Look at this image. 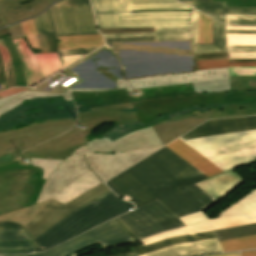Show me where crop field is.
Segmentation results:
<instances>
[{"label": "crop field", "instance_id": "1", "mask_svg": "<svg viewBox=\"0 0 256 256\" xmlns=\"http://www.w3.org/2000/svg\"><path fill=\"white\" fill-rule=\"evenodd\" d=\"M206 177L166 146L105 183L136 209L158 200L177 217L207 209L217 200L195 182Z\"/></svg>", "mask_w": 256, "mask_h": 256}, {"label": "crop field", "instance_id": "2", "mask_svg": "<svg viewBox=\"0 0 256 256\" xmlns=\"http://www.w3.org/2000/svg\"><path fill=\"white\" fill-rule=\"evenodd\" d=\"M31 161L43 168L42 179H47L37 203L54 198L65 204L103 182L86 165L85 154L69 160Z\"/></svg>", "mask_w": 256, "mask_h": 256}, {"label": "crop field", "instance_id": "3", "mask_svg": "<svg viewBox=\"0 0 256 256\" xmlns=\"http://www.w3.org/2000/svg\"><path fill=\"white\" fill-rule=\"evenodd\" d=\"M131 203L118 199L112 192L73 212L43 235L35 243L42 252L92 227L133 209Z\"/></svg>", "mask_w": 256, "mask_h": 256}, {"label": "crop field", "instance_id": "4", "mask_svg": "<svg viewBox=\"0 0 256 256\" xmlns=\"http://www.w3.org/2000/svg\"><path fill=\"white\" fill-rule=\"evenodd\" d=\"M132 108L131 104L95 108L92 109L96 112L90 113H78L80 123H84L87 126V130L83 132L75 131L56 137L46 143H43L31 150L21 153L19 157H37V158H52L62 159L71 155V153L82 145H85L88 139L85 138L89 134L90 130L106 123V122H118V123H135L137 122L135 113H124L121 111H104L110 109H127Z\"/></svg>", "mask_w": 256, "mask_h": 256}, {"label": "crop field", "instance_id": "5", "mask_svg": "<svg viewBox=\"0 0 256 256\" xmlns=\"http://www.w3.org/2000/svg\"><path fill=\"white\" fill-rule=\"evenodd\" d=\"M226 171L256 159V130L184 141Z\"/></svg>", "mask_w": 256, "mask_h": 256}, {"label": "crop field", "instance_id": "6", "mask_svg": "<svg viewBox=\"0 0 256 256\" xmlns=\"http://www.w3.org/2000/svg\"><path fill=\"white\" fill-rule=\"evenodd\" d=\"M18 160L0 166V214L34 205L45 182L41 168L21 166Z\"/></svg>", "mask_w": 256, "mask_h": 256}, {"label": "crop field", "instance_id": "7", "mask_svg": "<svg viewBox=\"0 0 256 256\" xmlns=\"http://www.w3.org/2000/svg\"><path fill=\"white\" fill-rule=\"evenodd\" d=\"M139 239H143L180 226L208 220L203 213L196 212L177 218L158 201L118 217Z\"/></svg>", "mask_w": 256, "mask_h": 256}, {"label": "crop field", "instance_id": "8", "mask_svg": "<svg viewBox=\"0 0 256 256\" xmlns=\"http://www.w3.org/2000/svg\"><path fill=\"white\" fill-rule=\"evenodd\" d=\"M75 122V119L45 121L43 124L0 133V164L16 159L25 149L68 131Z\"/></svg>", "mask_w": 256, "mask_h": 256}, {"label": "crop field", "instance_id": "9", "mask_svg": "<svg viewBox=\"0 0 256 256\" xmlns=\"http://www.w3.org/2000/svg\"><path fill=\"white\" fill-rule=\"evenodd\" d=\"M128 92L134 88L192 82L194 92L230 91L228 68L193 71L125 80Z\"/></svg>", "mask_w": 256, "mask_h": 256}, {"label": "crop field", "instance_id": "10", "mask_svg": "<svg viewBox=\"0 0 256 256\" xmlns=\"http://www.w3.org/2000/svg\"><path fill=\"white\" fill-rule=\"evenodd\" d=\"M48 11L56 36L99 34L89 0H62Z\"/></svg>", "mask_w": 256, "mask_h": 256}, {"label": "crop field", "instance_id": "11", "mask_svg": "<svg viewBox=\"0 0 256 256\" xmlns=\"http://www.w3.org/2000/svg\"><path fill=\"white\" fill-rule=\"evenodd\" d=\"M132 241L129 235L112 219L44 253L30 254L28 256H70L98 243L102 248H108Z\"/></svg>", "mask_w": 256, "mask_h": 256}, {"label": "crop field", "instance_id": "12", "mask_svg": "<svg viewBox=\"0 0 256 256\" xmlns=\"http://www.w3.org/2000/svg\"><path fill=\"white\" fill-rule=\"evenodd\" d=\"M158 86L149 88H139L142 90V96L138 98L128 96L126 90H109L105 92H88V93H77L72 92L74 100L76 102L86 101L84 103L85 108L121 104L134 101L151 100L159 98H167L185 94H194L191 83ZM161 89V91H159ZM97 93L95 96L94 94Z\"/></svg>", "mask_w": 256, "mask_h": 256}, {"label": "crop field", "instance_id": "13", "mask_svg": "<svg viewBox=\"0 0 256 256\" xmlns=\"http://www.w3.org/2000/svg\"><path fill=\"white\" fill-rule=\"evenodd\" d=\"M109 192L111 191L102 183L65 205L53 199L24 228L36 239L73 211Z\"/></svg>", "mask_w": 256, "mask_h": 256}, {"label": "crop field", "instance_id": "14", "mask_svg": "<svg viewBox=\"0 0 256 256\" xmlns=\"http://www.w3.org/2000/svg\"><path fill=\"white\" fill-rule=\"evenodd\" d=\"M24 66L27 86H32L85 55L58 57L57 53L34 54L23 39L13 40Z\"/></svg>", "mask_w": 256, "mask_h": 256}, {"label": "crop field", "instance_id": "15", "mask_svg": "<svg viewBox=\"0 0 256 256\" xmlns=\"http://www.w3.org/2000/svg\"><path fill=\"white\" fill-rule=\"evenodd\" d=\"M227 92L217 94H200L183 96L176 98L161 99L155 101L132 104L137 111L138 122L148 124L157 116L170 113L172 111L198 104H215L225 96Z\"/></svg>", "mask_w": 256, "mask_h": 256}, {"label": "crop field", "instance_id": "16", "mask_svg": "<svg viewBox=\"0 0 256 256\" xmlns=\"http://www.w3.org/2000/svg\"><path fill=\"white\" fill-rule=\"evenodd\" d=\"M125 79L197 70L194 58H120Z\"/></svg>", "mask_w": 256, "mask_h": 256}, {"label": "crop field", "instance_id": "17", "mask_svg": "<svg viewBox=\"0 0 256 256\" xmlns=\"http://www.w3.org/2000/svg\"><path fill=\"white\" fill-rule=\"evenodd\" d=\"M111 44L118 57H194L191 40Z\"/></svg>", "mask_w": 256, "mask_h": 256}, {"label": "crop field", "instance_id": "18", "mask_svg": "<svg viewBox=\"0 0 256 256\" xmlns=\"http://www.w3.org/2000/svg\"><path fill=\"white\" fill-rule=\"evenodd\" d=\"M159 148H140L118 154L86 153V162L90 169L104 181Z\"/></svg>", "mask_w": 256, "mask_h": 256}, {"label": "crop field", "instance_id": "19", "mask_svg": "<svg viewBox=\"0 0 256 256\" xmlns=\"http://www.w3.org/2000/svg\"><path fill=\"white\" fill-rule=\"evenodd\" d=\"M256 129V116L207 121L181 136L184 140Z\"/></svg>", "mask_w": 256, "mask_h": 256}, {"label": "crop field", "instance_id": "20", "mask_svg": "<svg viewBox=\"0 0 256 256\" xmlns=\"http://www.w3.org/2000/svg\"><path fill=\"white\" fill-rule=\"evenodd\" d=\"M98 28L190 26V17L120 19V14H95Z\"/></svg>", "mask_w": 256, "mask_h": 256}, {"label": "crop field", "instance_id": "21", "mask_svg": "<svg viewBox=\"0 0 256 256\" xmlns=\"http://www.w3.org/2000/svg\"><path fill=\"white\" fill-rule=\"evenodd\" d=\"M148 146H163V143L155 134L152 127L129 133L116 141L87 151L88 153H115L114 151L116 150L123 152Z\"/></svg>", "mask_w": 256, "mask_h": 256}, {"label": "crop field", "instance_id": "22", "mask_svg": "<svg viewBox=\"0 0 256 256\" xmlns=\"http://www.w3.org/2000/svg\"><path fill=\"white\" fill-rule=\"evenodd\" d=\"M213 111L214 109L203 114H200L199 111H195L191 114L180 115L171 120L157 123L152 125V127L161 141L167 144L182 133L207 120Z\"/></svg>", "mask_w": 256, "mask_h": 256}, {"label": "crop field", "instance_id": "23", "mask_svg": "<svg viewBox=\"0 0 256 256\" xmlns=\"http://www.w3.org/2000/svg\"><path fill=\"white\" fill-rule=\"evenodd\" d=\"M224 109H215L209 119L256 114V91L228 92L219 104Z\"/></svg>", "mask_w": 256, "mask_h": 256}, {"label": "crop field", "instance_id": "24", "mask_svg": "<svg viewBox=\"0 0 256 256\" xmlns=\"http://www.w3.org/2000/svg\"><path fill=\"white\" fill-rule=\"evenodd\" d=\"M255 222H256V219H249V218H246L243 216L223 217V218H218V219L182 227L179 229L171 230V231L165 232L163 234L142 240L141 242L144 245H146V244L156 242V241H159V240H162V239H165L168 237H172V236L227 228V227L250 224V223H255Z\"/></svg>", "mask_w": 256, "mask_h": 256}, {"label": "crop field", "instance_id": "25", "mask_svg": "<svg viewBox=\"0 0 256 256\" xmlns=\"http://www.w3.org/2000/svg\"><path fill=\"white\" fill-rule=\"evenodd\" d=\"M55 0H0V12L7 25L42 12ZM33 9V11H30Z\"/></svg>", "mask_w": 256, "mask_h": 256}, {"label": "crop field", "instance_id": "26", "mask_svg": "<svg viewBox=\"0 0 256 256\" xmlns=\"http://www.w3.org/2000/svg\"><path fill=\"white\" fill-rule=\"evenodd\" d=\"M198 16H199V12H197L196 10H192L191 27L155 28L156 33H123V34H109V35H103V36L116 37V36L156 35V41L192 39L193 44H195L197 43Z\"/></svg>", "mask_w": 256, "mask_h": 256}, {"label": "crop field", "instance_id": "27", "mask_svg": "<svg viewBox=\"0 0 256 256\" xmlns=\"http://www.w3.org/2000/svg\"><path fill=\"white\" fill-rule=\"evenodd\" d=\"M222 252L216 239L177 244L142 256H192Z\"/></svg>", "mask_w": 256, "mask_h": 256}, {"label": "crop field", "instance_id": "28", "mask_svg": "<svg viewBox=\"0 0 256 256\" xmlns=\"http://www.w3.org/2000/svg\"><path fill=\"white\" fill-rule=\"evenodd\" d=\"M100 68L102 69L101 71L99 70ZM66 70L121 72V68L116 57L108 49H105V47Z\"/></svg>", "mask_w": 256, "mask_h": 256}, {"label": "crop field", "instance_id": "29", "mask_svg": "<svg viewBox=\"0 0 256 256\" xmlns=\"http://www.w3.org/2000/svg\"><path fill=\"white\" fill-rule=\"evenodd\" d=\"M191 5L203 14L226 24V14L256 15V8L225 7V2L178 0ZM224 15V17H221Z\"/></svg>", "mask_w": 256, "mask_h": 256}, {"label": "crop field", "instance_id": "30", "mask_svg": "<svg viewBox=\"0 0 256 256\" xmlns=\"http://www.w3.org/2000/svg\"><path fill=\"white\" fill-rule=\"evenodd\" d=\"M243 181L239 175L230 170L196 183V185L218 200Z\"/></svg>", "mask_w": 256, "mask_h": 256}, {"label": "crop field", "instance_id": "31", "mask_svg": "<svg viewBox=\"0 0 256 256\" xmlns=\"http://www.w3.org/2000/svg\"><path fill=\"white\" fill-rule=\"evenodd\" d=\"M166 146L183 157L208 177L223 172L220 168L215 166L213 163L208 161L179 139Z\"/></svg>", "mask_w": 256, "mask_h": 256}, {"label": "crop field", "instance_id": "32", "mask_svg": "<svg viewBox=\"0 0 256 256\" xmlns=\"http://www.w3.org/2000/svg\"><path fill=\"white\" fill-rule=\"evenodd\" d=\"M82 82L71 88H116V79L121 73L70 72ZM76 73V74H73Z\"/></svg>", "mask_w": 256, "mask_h": 256}, {"label": "crop field", "instance_id": "33", "mask_svg": "<svg viewBox=\"0 0 256 256\" xmlns=\"http://www.w3.org/2000/svg\"><path fill=\"white\" fill-rule=\"evenodd\" d=\"M213 44H195L194 53L222 51L226 48V33L256 34V31L225 30V25L212 20Z\"/></svg>", "mask_w": 256, "mask_h": 256}, {"label": "crop field", "instance_id": "34", "mask_svg": "<svg viewBox=\"0 0 256 256\" xmlns=\"http://www.w3.org/2000/svg\"><path fill=\"white\" fill-rule=\"evenodd\" d=\"M215 238L212 231L209 232H203V233H197V234H190V235H184V236H177L172 237L169 239H165L156 243H152L149 245H141L133 248H129V250H134L135 253L138 255L150 253L153 251H156L158 249H161L163 247H167L173 244L177 243H185L189 241H198V240H207V239H213Z\"/></svg>", "mask_w": 256, "mask_h": 256}, {"label": "crop field", "instance_id": "35", "mask_svg": "<svg viewBox=\"0 0 256 256\" xmlns=\"http://www.w3.org/2000/svg\"><path fill=\"white\" fill-rule=\"evenodd\" d=\"M63 95L64 99L67 101L71 100V95L69 92L55 94V93H43V92H31V91H24L12 96H8L5 98L0 99V115L22 103L25 99H32L36 97H48V96H60Z\"/></svg>", "mask_w": 256, "mask_h": 256}, {"label": "crop field", "instance_id": "36", "mask_svg": "<svg viewBox=\"0 0 256 256\" xmlns=\"http://www.w3.org/2000/svg\"><path fill=\"white\" fill-rule=\"evenodd\" d=\"M57 38H58V49L57 50L96 47V46L103 45L102 35L57 37Z\"/></svg>", "mask_w": 256, "mask_h": 256}, {"label": "crop field", "instance_id": "37", "mask_svg": "<svg viewBox=\"0 0 256 256\" xmlns=\"http://www.w3.org/2000/svg\"><path fill=\"white\" fill-rule=\"evenodd\" d=\"M48 202L0 215V221H12L24 227Z\"/></svg>", "mask_w": 256, "mask_h": 256}, {"label": "crop field", "instance_id": "38", "mask_svg": "<svg viewBox=\"0 0 256 256\" xmlns=\"http://www.w3.org/2000/svg\"><path fill=\"white\" fill-rule=\"evenodd\" d=\"M232 214H242L251 218L256 217V190L248 194L222 214L218 215V217Z\"/></svg>", "mask_w": 256, "mask_h": 256}, {"label": "crop field", "instance_id": "39", "mask_svg": "<svg viewBox=\"0 0 256 256\" xmlns=\"http://www.w3.org/2000/svg\"><path fill=\"white\" fill-rule=\"evenodd\" d=\"M95 13L131 12L130 0H91Z\"/></svg>", "mask_w": 256, "mask_h": 256}, {"label": "crop field", "instance_id": "40", "mask_svg": "<svg viewBox=\"0 0 256 256\" xmlns=\"http://www.w3.org/2000/svg\"><path fill=\"white\" fill-rule=\"evenodd\" d=\"M37 36H40L39 44L41 47V53L51 52L45 34H53L48 12L33 18Z\"/></svg>", "mask_w": 256, "mask_h": 256}, {"label": "crop field", "instance_id": "41", "mask_svg": "<svg viewBox=\"0 0 256 256\" xmlns=\"http://www.w3.org/2000/svg\"><path fill=\"white\" fill-rule=\"evenodd\" d=\"M214 233L218 241L235 237L254 235L256 234V223L227 229L215 230Z\"/></svg>", "mask_w": 256, "mask_h": 256}, {"label": "crop field", "instance_id": "42", "mask_svg": "<svg viewBox=\"0 0 256 256\" xmlns=\"http://www.w3.org/2000/svg\"><path fill=\"white\" fill-rule=\"evenodd\" d=\"M223 252L256 248V235L219 242Z\"/></svg>", "mask_w": 256, "mask_h": 256}, {"label": "crop field", "instance_id": "43", "mask_svg": "<svg viewBox=\"0 0 256 256\" xmlns=\"http://www.w3.org/2000/svg\"><path fill=\"white\" fill-rule=\"evenodd\" d=\"M0 56L2 59L4 71H5L7 85L8 87L15 86L16 83H15L12 59L1 37H0Z\"/></svg>", "mask_w": 256, "mask_h": 256}, {"label": "crop field", "instance_id": "44", "mask_svg": "<svg viewBox=\"0 0 256 256\" xmlns=\"http://www.w3.org/2000/svg\"><path fill=\"white\" fill-rule=\"evenodd\" d=\"M4 41L11 53L12 59H13L16 83H17V85L26 86L23 66L20 62L18 55H17V52L13 45V42L11 41L10 37L4 38Z\"/></svg>", "mask_w": 256, "mask_h": 256}, {"label": "crop field", "instance_id": "45", "mask_svg": "<svg viewBox=\"0 0 256 256\" xmlns=\"http://www.w3.org/2000/svg\"><path fill=\"white\" fill-rule=\"evenodd\" d=\"M198 70L234 67V66H256V63H229L228 59L197 61Z\"/></svg>", "mask_w": 256, "mask_h": 256}, {"label": "crop field", "instance_id": "46", "mask_svg": "<svg viewBox=\"0 0 256 256\" xmlns=\"http://www.w3.org/2000/svg\"><path fill=\"white\" fill-rule=\"evenodd\" d=\"M231 91L256 90V76L230 77Z\"/></svg>", "mask_w": 256, "mask_h": 256}, {"label": "crop field", "instance_id": "47", "mask_svg": "<svg viewBox=\"0 0 256 256\" xmlns=\"http://www.w3.org/2000/svg\"><path fill=\"white\" fill-rule=\"evenodd\" d=\"M198 43H212V25L211 19L200 14Z\"/></svg>", "mask_w": 256, "mask_h": 256}, {"label": "crop field", "instance_id": "48", "mask_svg": "<svg viewBox=\"0 0 256 256\" xmlns=\"http://www.w3.org/2000/svg\"><path fill=\"white\" fill-rule=\"evenodd\" d=\"M20 24L30 47L40 49L34 24H33V20L31 19L28 21H24V22H21Z\"/></svg>", "mask_w": 256, "mask_h": 256}, {"label": "crop field", "instance_id": "49", "mask_svg": "<svg viewBox=\"0 0 256 256\" xmlns=\"http://www.w3.org/2000/svg\"><path fill=\"white\" fill-rule=\"evenodd\" d=\"M172 16H190V12H153V13H126L121 14V18L137 17H172Z\"/></svg>", "mask_w": 256, "mask_h": 256}, {"label": "crop field", "instance_id": "50", "mask_svg": "<svg viewBox=\"0 0 256 256\" xmlns=\"http://www.w3.org/2000/svg\"><path fill=\"white\" fill-rule=\"evenodd\" d=\"M227 45H256V35L227 34Z\"/></svg>", "mask_w": 256, "mask_h": 256}, {"label": "crop field", "instance_id": "51", "mask_svg": "<svg viewBox=\"0 0 256 256\" xmlns=\"http://www.w3.org/2000/svg\"><path fill=\"white\" fill-rule=\"evenodd\" d=\"M31 239L23 229L0 230V240Z\"/></svg>", "mask_w": 256, "mask_h": 256}, {"label": "crop field", "instance_id": "52", "mask_svg": "<svg viewBox=\"0 0 256 256\" xmlns=\"http://www.w3.org/2000/svg\"><path fill=\"white\" fill-rule=\"evenodd\" d=\"M227 24L256 26V16L227 15Z\"/></svg>", "mask_w": 256, "mask_h": 256}, {"label": "crop field", "instance_id": "53", "mask_svg": "<svg viewBox=\"0 0 256 256\" xmlns=\"http://www.w3.org/2000/svg\"><path fill=\"white\" fill-rule=\"evenodd\" d=\"M36 247L33 240L0 241V248Z\"/></svg>", "mask_w": 256, "mask_h": 256}, {"label": "crop field", "instance_id": "54", "mask_svg": "<svg viewBox=\"0 0 256 256\" xmlns=\"http://www.w3.org/2000/svg\"><path fill=\"white\" fill-rule=\"evenodd\" d=\"M106 44L110 42H133V41H155V36L143 37H117V38H104Z\"/></svg>", "mask_w": 256, "mask_h": 256}, {"label": "crop field", "instance_id": "55", "mask_svg": "<svg viewBox=\"0 0 256 256\" xmlns=\"http://www.w3.org/2000/svg\"><path fill=\"white\" fill-rule=\"evenodd\" d=\"M230 76L256 75V67H234L229 68Z\"/></svg>", "mask_w": 256, "mask_h": 256}, {"label": "crop field", "instance_id": "56", "mask_svg": "<svg viewBox=\"0 0 256 256\" xmlns=\"http://www.w3.org/2000/svg\"><path fill=\"white\" fill-rule=\"evenodd\" d=\"M102 34L122 32H155L154 28L98 29Z\"/></svg>", "mask_w": 256, "mask_h": 256}, {"label": "crop field", "instance_id": "57", "mask_svg": "<svg viewBox=\"0 0 256 256\" xmlns=\"http://www.w3.org/2000/svg\"><path fill=\"white\" fill-rule=\"evenodd\" d=\"M111 140L109 138H103V139H100V140H91L90 142H88V147L86 146H83L79 149H77L72 156L68 157V158H73V157H76L78 155H76V152H78V154H82L84 152H87L86 149H89V148H93V147H96L98 145H101V144H105V143H108L110 142ZM66 158V159H68Z\"/></svg>", "mask_w": 256, "mask_h": 256}, {"label": "crop field", "instance_id": "58", "mask_svg": "<svg viewBox=\"0 0 256 256\" xmlns=\"http://www.w3.org/2000/svg\"><path fill=\"white\" fill-rule=\"evenodd\" d=\"M132 5L182 4L176 0H131Z\"/></svg>", "mask_w": 256, "mask_h": 256}, {"label": "crop field", "instance_id": "59", "mask_svg": "<svg viewBox=\"0 0 256 256\" xmlns=\"http://www.w3.org/2000/svg\"><path fill=\"white\" fill-rule=\"evenodd\" d=\"M197 60L228 58L227 51L194 54Z\"/></svg>", "mask_w": 256, "mask_h": 256}, {"label": "crop field", "instance_id": "60", "mask_svg": "<svg viewBox=\"0 0 256 256\" xmlns=\"http://www.w3.org/2000/svg\"><path fill=\"white\" fill-rule=\"evenodd\" d=\"M226 6L256 7V0H230Z\"/></svg>", "mask_w": 256, "mask_h": 256}, {"label": "crop field", "instance_id": "61", "mask_svg": "<svg viewBox=\"0 0 256 256\" xmlns=\"http://www.w3.org/2000/svg\"><path fill=\"white\" fill-rule=\"evenodd\" d=\"M96 48H85V49H73V50H62V51H57L59 56H64V55H74V54H84V53H90L94 51Z\"/></svg>", "mask_w": 256, "mask_h": 256}, {"label": "crop field", "instance_id": "62", "mask_svg": "<svg viewBox=\"0 0 256 256\" xmlns=\"http://www.w3.org/2000/svg\"><path fill=\"white\" fill-rule=\"evenodd\" d=\"M157 8H181L190 9L187 5H161V6H132V10L137 9H157Z\"/></svg>", "mask_w": 256, "mask_h": 256}, {"label": "crop field", "instance_id": "63", "mask_svg": "<svg viewBox=\"0 0 256 256\" xmlns=\"http://www.w3.org/2000/svg\"><path fill=\"white\" fill-rule=\"evenodd\" d=\"M228 53L256 52V46H227Z\"/></svg>", "mask_w": 256, "mask_h": 256}, {"label": "crop field", "instance_id": "64", "mask_svg": "<svg viewBox=\"0 0 256 256\" xmlns=\"http://www.w3.org/2000/svg\"><path fill=\"white\" fill-rule=\"evenodd\" d=\"M7 29L9 31L12 39L24 38L25 37L22 30H21V27H20L19 23L16 24V25L10 26Z\"/></svg>", "mask_w": 256, "mask_h": 256}, {"label": "crop field", "instance_id": "65", "mask_svg": "<svg viewBox=\"0 0 256 256\" xmlns=\"http://www.w3.org/2000/svg\"><path fill=\"white\" fill-rule=\"evenodd\" d=\"M0 36H2L3 38L9 36V33H8L6 28L0 30ZM0 86L2 87V88H0V90L4 89L3 87L7 86L6 82H5V77H4V72H3V67H2L1 59H0Z\"/></svg>", "mask_w": 256, "mask_h": 256}, {"label": "crop field", "instance_id": "66", "mask_svg": "<svg viewBox=\"0 0 256 256\" xmlns=\"http://www.w3.org/2000/svg\"><path fill=\"white\" fill-rule=\"evenodd\" d=\"M36 248H26V249H0V254H27L31 253Z\"/></svg>", "mask_w": 256, "mask_h": 256}, {"label": "crop field", "instance_id": "67", "mask_svg": "<svg viewBox=\"0 0 256 256\" xmlns=\"http://www.w3.org/2000/svg\"><path fill=\"white\" fill-rule=\"evenodd\" d=\"M24 90H27V89H23V88H10V89H7V90H4V91L0 92V98L8 96V95H12V94L24 91Z\"/></svg>", "mask_w": 256, "mask_h": 256}, {"label": "crop field", "instance_id": "68", "mask_svg": "<svg viewBox=\"0 0 256 256\" xmlns=\"http://www.w3.org/2000/svg\"><path fill=\"white\" fill-rule=\"evenodd\" d=\"M229 58H256V53L228 54Z\"/></svg>", "mask_w": 256, "mask_h": 256}, {"label": "crop field", "instance_id": "69", "mask_svg": "<svg viewBox=\"0 0 256 256\" xmlns=\"http://www.w3.org/2000/svg\"><path fill=\"white\" fill-rule=\"evenodd\" d=\"M46 36H47L51 51L56 52V49H57V39H56V37L54 35H46Z\"/></svg>", "mask_w": 256, "mask_h": 256}, {"label": "crop field", "instance_id": "70", "mask_svg": "<svg viewBox=\"0 0 256 256\" xmlns=\"http://www.w3.org/2000/svg\"><path fill=\"white\" fill-rule=\"evenodd\" d=\"M22 226L12 222H0V229L20 228Z\"/></svg>", "mask_w": 256, "mask_h": 256}, {"label": "crop field", "instance_id": "71", "mask_svg": "<svg viewBox=\"0 0 256 256\" xmlns=\"http://www.w3.org/2000/svg\"><path fill=\"white\" fill-rule=\"evenodd\" d=\"M226 29L256 30L254 26H226Z\"/></svg>", "mask_w": 256, "mask_h": 256}, {"label": "crop field", "instance_id": "72", "mask_svg": "<svg viewBox=\"0 0 256 256\" xmlns=\"http://www.w3.org/2000/svg\"><path fill=\"white\" fill-rule=\"evenodd\" d=\"M153 11H190V10H180V9H157V10H138L132 12H153Z\"/></svg>", "mask_w": 256, "mask_h": 256}, {"label": "crop field", "instance_id": "73", "mask_svg": "<svg viewBox=\"0 0 256 256\" xmlns=\"http://www.w3.org/2000/svg\"><path fill=\"white\" fill-rule=\"evenodd\" d=\"M115 220L120 224V226L131 236V238L134 241H137L138 239L117 219L115 218Z\"/></svg>", "mask_w": 256, "mask_h": 256}, {"label": "crop field", "instance_id": "74", "mask_svg": "<svg viewBox=\"0 0 256 256\" xmlns=\"http://www.w3.org/2000/svg\"><path fill=\"white\" fill-rule=\"evenodd\" d=\"M230 62H256V59H229Z\"/></svg>", "mask_w": 256, "mask_h": 256}, {"label": "crop field", "instance_id": "75", "mask_svg": "<svg viewBox=\"0 0 256 256\" xmlns=\"http://www.w3.org/2000/svg\"><path fill=\"white\" fill-rule=\"evenodd\" d=\"M68 90H77V91H101V90H109V89H68Z\"/></svg>", "mask_w": 256, "mask_h": 256}, {"label": "crop field", "instance_id": "76", "mask_svg": "<svg viewBox=\"0 0 256 256\" xmlns=\"http://www.w3.org/2000/svg\"><path fill=\"white\" fill-rule=\"evenodd\" d=\"M241 256H256V251L254 252H243L240 253Z\"/></svg>", "mask_w": 256, "mask_h": 256}, {"label": "crop field", "instance_id": "77", "mask_svg": "<svg viewBox=\"0 0 256 256\" xmlns=\"http://www.w3.org/2000/svg\"><path fill=\"white\" fill-rule=\"evenodd\" d=\"M114 256H136V254L133 251V252H128V253H125V254L114 255Z\"/></svg>", "mask_w": 256, "mask_h": 256}, {"label": "crop field", "instance_id": "78", "mask_svg": "<svg viewBox=\"0 0 256 256\" xmlns=\"http://www.w3.org/2000/svg\"><path fill=\"white\" fill-rule=\"evenodd\" d=\"M212 256H239V255L238 253H229V254L212 255Z\"/></svg>", "mask_w": 256, "mask_h": 256}, {"label": "crop field", "instance_id": "79", "mask_svg": "<svg viewBox=\"0 0 256 256\" xmlns=\"http://www.w3.org/2000/svg\"><path fill=\"white\" fill-rule=\"evenodd\" d=\"M120 81L121 83H118ZM117 88H124L122 80H117Z\"/></svg>", "mask_w": 256, "mask_h": 256}, {"label": "crop field", "instance_id": "80", "mask_svg": "<svg viewBox=\"0 0 256 256\" xmlns=\"http://www.w3.org/2000/svg\"><path fill=\"white\" fill-rule=\"evenodd\" d=\"M2 26H5V23H4V21H3L2 17H1V15H0V27H2Z\"/></svg>", "mask_w": 256, "mask_h": 256}, {"label": "crop field", "instance_id": "81", "mask_svg": "<svg viewBox=\"0 0 256 256\" xmlns=\"http://www.w3.org/2000/svg\"><path fill=\"white\" fill-rule=\"evenodd\" d=\"M13 256H26V255H13Z\"/></svg>", "mask_w": 256, "mask_h": 256}, {"label": "crop field", "instance_id": "82", "mask_svg": "<svg viewBox=\"0 0 256 256\" xmlns=\"http://www.w3.org/2000/svg\"><path fill=\"white\" fill-rule=\"evenodd\" d=\"M212 1H225V0H212Z\"/></svg>", "mask_w": 256, "mask_h": 256}, {"label": "crop field", "instance_id": "83", "mask_svg": "<svg viewBox=\"0 0 256 256\" xmlns=\"http://www.w3.org/2000/svg\"><path fill=\"white\" fill-rule=\"evenodd\" d=\"M72 256H76V255L74 254V255H72Z\"/></svg>", "mask_w": 256, "mask_h": 256}]
</instances>
